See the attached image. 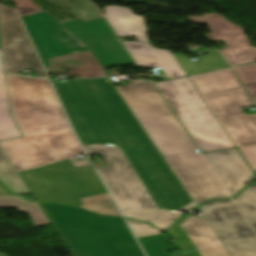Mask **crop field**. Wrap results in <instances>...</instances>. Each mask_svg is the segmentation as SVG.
Returning a JSON list of instances; mask_svg holds the SVG:
<instances>
[{"instance_id":"5142ce71","label":"crop field","mask_w":256,"mask_h":256,"mask_svg":"<svg viewBox=\"0 0 256 256\" xmlns=\"http://www.w3.org/2000/svg\"><path fill=\"white\" fill-rule=\"evenodd\" d=\"M203 155L230 196L237 194L255 178L236 149Z\"/></svg>"},{"instance_id":"1d83c4d3","label":"crop field","mask_w":256,"mask_h":256,"mask_svg":"<svg viewBox=\"0 0 256 256\" xmlns=\"http://www.w3.org/2000/svg\"><path fill=\"white\" fill-rule=\"evenodd\" d=\"M75 167L90 165L89 162H77L75 158L71 159Z\"/></svg>"},{"instance_id":"8a807250","label":"crop field","mask_w":256,"mask_h":256,"mask_svg":"<svg viewBox=\"0 0 256 256\" xmlns=\"http://www.w3.org/2000/svg\"><path fill=\"white\" fill-rule=\"evenodd\" d=\"M53 85L83 145L120 146L158 209L193 204L109 78Z\"/></svg>"},{"instance_id":"bc2a9ffb","label":"crop field","mask_w":256,"mask_h":256,"mask_svg":"<svg viewBox=\"0 0 256 256\" xmlns=\"http://www.w3.org/2000/svg\"><path fill=\"white\" fill-rule=\"evenodd\" d=\"M209 54L200 55L198 62L190 61L187 57L177 54L176 59L187 75L226 68L227 65L216 50L206 49ZM214 65V67H211Z\"/></svg>"},{"instance_id":"412701ff","label":"crop field","mask_w":256,"mask_h":256,"mask_svg":"<svg viewBox=\"0 0 256 256\" xmlns=\"http://www.w3.org/2000/svg\"><path fill=\"white\" fill-rule=\"evenodd\" d=\"M72 256H144L124 220L39 203Z\"/></svg>"},{"instance_id":"730fd06b","label":"crop field","mask_w":256,"mask_h":256,"mask_svg":"<svg viewBox=\"0 0 256 256\" xmlns=\"http://www.w3.org/2000/svg\"><path fill=\"white\" fill-rule=\"evenodd\" d=\"M126 217L135 218L150 223L155 227L167 231L168 227L178 218L179 214L169 211H156L147 213L125 214Z\"/></svg>"},{"instance_id":"92a150f3","label":"crop field","mask_w":256,"mask_h":256,"mask_svg":"<svg viewBox=\"0 0 256 256\" xmlns=\"http://www.w3.org/2000/svg\"><path fill=\"white\" fill-rule=\"evenodd\" d=\"M17 207L19 211L28 213L36 226L50 224L38 203L26 201L15 195L0 196V208Z\"/></svg>"},{"instance_id":"34b2d1b8","label":"crop field","mask_w":256,"mask_h":256,"mask_svg":"<svg viewBox=\"0 0 256 256\" xmlns=\"http://www.w3.org/2000/svg\"><path fill=\"white\" fill-rule=\"evenodd\" d=\"M11 116L24 138L0 142L18 172L60 161L44 134L71 131L46 79L6 75Z\"/></svg>"},{"instance_id":"4a817a6b","label":"crop field","mask_w":256,"mask_h":256,"mask_svg":"<svg viewBox=\"0 0 256 256\" xmlns=\"http://www.w3.org/2000/svg\"><path fill=\"white\" fill-rule=\"evenodd\" d=\"M201 96L242 90L229 69L194 75L189 77Z\"/></svg>"},{"instance_id":"d32e631a","label":"crop field","mask_w":256,"mask_h":256,"mask_svg":"<svg viewBox=\"0 0 256 256\" xmlns=\"http://www.w3.org/2000/svg\"><path fill=\"white\" fill-rule=\"evenodd\" d=\"M0 48H1V45H0Z\"/></svg>"},{"instance_id":"d1516ede","label":"crop field","mask_w":256,"mask_h":256,"mask_svg":"<svg viewBox=\"0 0 256 256\" xmlns=\"http://www.w3.org/2000/svg\"><path fill=\"white\" fill-rule=\"evenodd\" d=\"M61 25L86 44L102 68L134 64L104 18Z\"/></svg>"},{"instance_id":"f4fd0767","label":"crop field","mask_w":256,"mask_h":256,"mask_svg":"<svg viewBox=\"0 0 256 256\" xmlns=\"http://www.w3.org/2000/svg\"><path fill=\"white\" fill-rule=\"evenodd\" d=\"M36 201L78 207L79 198L105 193L92 166L75 168L71 160L20 172Z\"/></svg>"},{"instance_id":"5a996713","label":"crop field","mask_w":256,"mask_h":256,"mask_svg":"<svg viewBox=\"0 0 256 256\" xmlns=\"http://www.w3.org/2000/svg\"><path fill=\"white\" fill-rule=\"evenodd\" d=\"M45 68L46 59L87 51V47L45 12L21 18Z\"/></svg>"},{"instance_id":"dd49c442","label":"crop field","mask_w":256,"mask_h":256,"mask_svg":"<svg viewBox=\"0 0 256 256\" xmlns=\"http://www.w3.org/2000/svg\"><path fill=\"white\" fill-rule=\"evenodd\" d=\"M156 85L204 152L235 147L188 77Z\"/></svg>"},{"instance_id":"ac0d7876","label":"crop field","mask_w":256,"mask_h":256,"mask_svg":"<svg viewBox=\"0 0 256 256\" xmlns=\"http://www.w3.org/2000/svg\"><path fill=\"white\" fill-rule=\"evenodd\" d=\"M116 87L196 206L223 199V190L179 121L152 83L128 81Z\"/></svg>"},{"instance_id":"120bbe31","label":"crop field","mask_w":256,"mask_h":256,"mask_svg":"<svg viewBox=\"0 0 256 256\" xmlns=\"http://www.w3.org/2000/svg\"><path fill=\"white\" fill-rule=\"evenodd\" d=\"M214 256H229V254L214 255Z\"/></svg>"},{"instance_id":"00972430","label":"crop field","mask_w":256,"mask_h":256,"mask_svg":"<svg viewBox=\"0 0 256 256\" xmlns=\"http://www.w3.org/2000/svg\"><path fill=\"white\" fill-rule=\"evenodd\" d=\"M0 182L15 194L30 193L15 168L0 148Z\"/></svg>"},{"instance_id":"ae1a2a85","label":"crop field","mask_w":256,"mask_h":256,"mask_svg":"<svg viewBox=\"0 0 256 256\" xmlns=\"http://www.w3.org/2000/svg\"><path fill=\"white\" fill-rule=\"evenodd\" d=\"M131 229L137 236V238L140 237H145V236H150L158 233H162L163 231L158 230L148 224H145L140 221H135V220H127Z\"/></svg>"},{"instance_id":"28ad6ade","label":"crop field","mask_w":256,"mask_h":256,"mask_svg":"<svg viewBox=\"0 0 256 256\" xmlns=\"http://www.w3.org/2000/svg\"><path fill=\"white\" fill-rule=\"evenodd\" d=\"M0 37L4 62H11L7 73L35 67L38 77H46L44 69L26 35L16 10L0 4Z\"/></svg>"},{"instance_id":"d8731c3e","label":"crop field","mask_w":256,"mask_h":256,"mask_svg":"<svg viewBox=\"0 0 256 256\" xmlns=\"http://www.w3.org/2000/svg\"><path fill=\"white\" fill-rule=\"evenodd\" d=\"M232 202L211 201L199 209L230 256H256V235Z\"/></svg>"},{"instance_id":"750c4746","label":"crop field","mask_w":256,"mask_h":256,"mask_svg":"<svg viewBox=\"0 0 256 256\" xmlns=\"http://www.w3.org/2000/svg\"><path fill=\"white\" fill-rule=\"evenodd\" d=\"M256 174V145L238 147Z\"/></svg>"},{"instance_id":"bd1437ed","label":"crop field","mask_w":256,"mask_h":256,"mask_svg":"<svg viewBox=\"0 0 256 256\" xmlns=\"http://www.w3.org/2000/svg\"><path fill=\"white\" fill-rule=\"evenodd\" d=\"M251 97L256 103V82L244 84Z\"/></svg>"},{"instance_id":"22f410ed","label":"crop field","mask_w":256,"mask_h":256,"mask_svg":"<svg viewBox=\"0 0 256 256\" xmlns=\"http://www.w3.org/2000/svg\"><path fill=\"white\" fill-rule=\"evenodd\" d=\"M169 232L184 256L228 253L204 217L182 216Z\"/></svg>"},{"instance_id":"3316defc","label":"crop field","mask_w":256,"mask_h":256,"mask_svg":"<svg viewBox=\"0 0 256 256\" xmlns=\"http://www.w3.org/2000/svg\"><path fill=\"white\" fill-rule=\"evenodd\" d=\"M203 99L236 147L256 144V114H244L240 108L252 105L244 91Z\"/></svg>"},{"instance_id":"eef30255","label":"crop field","mask_w":256,"mask_h":256,"mask_svg":"<svg viewBox=\"0 0 256 256\" xmlns=\"http://www.w3.org/2000/svg\"><path fill=\"white\" fill-rule=\"evenodd\" d=\"M139 241L148 256H169L162 246L160 234L140 238Z\"/></svg>"},{"instance_id":"d9b57169","label":"crop field","mask_w":256,"mask_h":256,"mask_svg":"<svg viewBox=\"0 0 256 256\" xmlns=\"http://www.w3.org/2000/svg\"><path fill=\"white\" fill-rule=\"evenodd\" d=\"M123 43L139 67H160L167 79L186 75L171 51L155 49L150 44Z\"/></svg>"},{"instance_id":"a9b5d70f","label":"crop field","mask_w":256,"mask_h":256,"mask_svg":"<svg viewBox=\"0 0 256 256\" xmlns=\"http://www.w3.org/2000/svg\"><path fill=\"white\" fill-rule=\"evenodd\" d=\"M234 201L256 232V184L243 190Z\"/></svg>"},{"instance_id":"dafd665d","label":"crop field","mask_w":256,"mask_h":256,"mask_svg":"<svg viewBox=\"0 0 256 256\" xmlns=\"http://www.w3.org/2000/svg\"><path fill=\"white\" fill-rule=\"evenodd\" d=\"M46 137L62 161L84 153L73 132L49 134Z\"/></svg>"},{"instance_id":"214f88e0","label":"crop field","mask_w":256,"mask_h":256,"mask_svg":"<svg viewBox=\"0 0 256 256\" xmlns=\"http://www.w3.org/2000/svg\"><path fill=\"white\" fill-rule=\"evenodd\" d=\"M19 136L22 135L10 116L6 78L0 64V140Z\"/></svg>"},{"instance_id":"4177f3b9","label":"crop field","mask_w":256,"mask_h":256,"mask_svg":"<svg viewBox=\"0 0 256 256\" xmlns=\"http://www.w3.org/2000/svg\"><path fill=\"white\" fill-rule=\"evenodd\" d=\"M81 200L84 204L80 207L105 215L121 217L108 193L82 198ZM93 202L95 204H92Z\"/></svg>"},{"instance_id":"733c2abd","label":"crop field","mask_w":256,"mask_h":256,"mask_svg":"<svg viewBox=\"0 0 256 256\" xmlns=\"http://www.w3.org/2000/svg\"><path fill=\"white\" fill-rule=\"evenodd\" d=\"M105 17L117 36H136L138 42L149 43L143 17L134 16L131 9L116 6L103 7Z\"/></svg>"},{"instance_id":"cbeb9de0","label":"crop field","mask_w":256,"mask_h":256,"mask_svg":"<svg viewBox=\"0 0 256 256\" xmlns=\"http://www.w3.org/2000/svg\"><path fill=\"white\" fill-rule=\"evenodd\" d=\"M192 22L207 23L212 41L223 40L227 48L221 50L231 66L246 64L256 59V48L252 47L243 29L227 21L217 13L203 17L186 16Z\"/></svg>"},{"instance_id":"d3111659","label":"crop field","mask_w":256,"mask_h":256,"mask_svg":"<svg viewBox=\"0 0 256 256\" xmlns=\"http://www.w3.org/2000/svg\"><path fill=\"white\" fill-rule=\"evenodd\" d=\"M242 83L256 81V64H249L234 68Z\"/></svg>"},{"instance_id":"e52e79f7","label":"crop field","mask_w":256,"mask_h":256,"mask_svg":"<svg viewBox=\"0 0 256 256\" xmlns=\"http://www.w3.org/2000/svg\"><path fill=\"white\" fill-rule=\"evenodd\" d=\"M85 148L89 155L102 154L108 167L97 169L122 212L157 209L119 147L90 145Z\"/></svg>"}]
</instances>
